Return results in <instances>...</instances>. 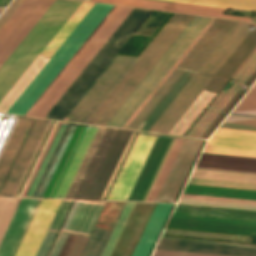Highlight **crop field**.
<instances>
[{"mask_svg": "<svg viewBox=\"0 0 256 256\" xmlns=\"http://www.w3.org/2000/svg\"><path fill=\"white\" fill-rule=\"evenodd\" d=\"M112 6L110 4H94L7 113L25 114ZM131 9L114 5L25 115L44 117ZM150 11L132 9L46 114V118L63 119Z\"/></svg>", "mask_w": 256, "mask_h": 256, "instance_id": "crop-field-1", "label": "crop field"}, {"mask_svg": "<svg viewBox=\"0 0 256 256\" xmlns=\"http://www.w3.org/2000/svg\"><path fill=\"white\" fill-rule=\"evenodd\" d=\"M138 136V135H137ZM137 138V137H136ZM157 137L139 135L107 200H126ZM172 139L158 137L127 200L141 201ZM183 141L173 139L143 200L154 201Z\"/></svg>", "mask_w": 256, "mask_h": 256, "instance_id": "crop-field-2", "label": "crop field"}, {"mask_svg": "<svg viewBox=\"0 0 256 256\" xmlns=\"http://www.w3.org/2000/svg\"><path fill=\"white\" fill-rule=\"evenodd\" d=\"M131 132L99 127L64 198L99 199Z\"/></svg>", "mask_w": 256, "mask_h": 256, "instance_id": "crop-field-3", "label": "crop field"}, {"mask_svg": "<svg viewBox=\"0 0 256 256\" xmlns=\"http://www.w3.org/2000/svg\"><path fill=\"white\" fill-rule=\"evenodd\" d=\"M193 17L175 13L86 123L105 125Z\"/></svg>", "mask_w": 256, "mask_h": 256, "instance_id": "crop-field-4", "label": "crop field"}, {"mask_svg": "<svg viewBox=\"0 0 256 256\" xmlns=\"http://www.w3.org/2000/svg\"><path fill=\"white\" fill-rule=\"evenodd\" d=\"M254 26L238 21L150 131L168 132Z\"/></svg>", "mask_w": 256, "mask_h": 256, "instance_id": "crop-field-5", "label": "crop field"}, {"mask_svg": "<svg viewBox=\"0 0 256 256\" xmlns=\"http://www.w3.org/2000/svg\"><path fill=\"white\" fill-rule=\"evenodd\" d=\"M37 199L23 198L0 244L9 256ZM42 199H38L10 256H14ZM62 200L43 199L15 256H35Z\"/></svg>", "mask_w": 256, "mask_h": 256, "instance_id": "crop-field-6", "label": "crop field"}, {"mask_svg": "<svg viewBox=\"0 0 256 256\" xmlns=\"http://www.w3.org/2000/svg\"><path fill=\"white\" fill-rule=\"evenodd\" d=\"M167 227L256 235V212L177 204Z\"/></svg>", "mask_w": 256, "mask_h": 256, "instance_id": "crop-field-7", "label": "crop field"}, {"mask_svg": "<svg viewBox=\"0 0 256 256\" xmlns=\"http://www.w3.org/2000/svg\"><path fill=\"white\" fill-rule=\"evenodd\" d=\"M211 18L195 16L127 100L107 122V126L122 128L141 103L151 93L182 53L192 43Z\"/></svg>", "mask_w": 256, "mask_h": 256, "instance_id": "crop-field-8", "label": "crop field"}, {"mask_svg": "<svg viewBox=\"0 0 256 256\" xmlns=\"http://www.w3.org/2000/svg\"><path fill=\"white\" fill-rule=\"evenodd\" d=\"M36 122L18 156V159L0 193V196H13L31 158L50 121L38 120ZM33 119L21 118L9 138V141L0 157V187L9 171V168L21 146V143L32 123Z\"/></svg>", "mask_w": 256, "mask_h": 256, "instance_id": "crop-field-9", "label": "crop field"}, {"mask_svg": "<svg viewBox=\"0 0 256 256\" xmlns=\"http://www.w3.org/2000/svg\"><path fill=\"white\" fill-rule=\"evenodd\" d=\"M105 202L76 200L62 228L90 234ZM63 229L49 256H80L89 235Z\"/></svg>", "mask_w": 256, "mask_h": 256, "instance_id": "crop-field-10", "label": "crop field"}, {"mask_svg": "<svg viewBox=\"0 0 256 256\" xmlns=\"http://www.w3.org/2000/svg\"><path fill=\"white\" fill-rule=\"evenodd\" d=\"M135 60L115 56L63 120L85 123Z\"/></svg>", "mask_w": 256, "mask_h": 256, "instance_id": "crop-field-11", "label": "crop field"}, {"mask_svg": "<svg viewBox=\"0 0 256 256\" xmlns=\"http://www.w3.org/2000/svg\"><path fill=\"white\" fill-rule=\"evenodd\" d=\"M55 0H24L0 29V66Z\"/></svg>", "mask_w": 256, "mask_h": 256, "instance_id": "crop-field-12", "label": "crop field"}, {"mask_svg": "<svg viewBox=\"0 0 256 256\" xmlns=\"http://www.w3.org/2000/svg\"><path fill=\"white\" fill-rule=\"evenodd\" d=\"M256 47L255 49L251 52V54L246 58V60L242 63V65L238 68V70L233 74L232 79L236 80L234 82V84L236 83V85L233 87V89L230 91V93L227 95L226 93L231 89V87L234 85H232L228 91L226 93H222V91L218 94V96L213 100V102L210 104V106L205 110V112L200 116V118L196 121V123L191 127V129L186 133L185 136H187L191 130L196 126V124L200 121V119L204 116V114L209 110H210L205 114V116L201 119V121L197 124V126L193 129V131L188 135V136H192L196 130L200 127V125L204 122V120L208 117V115L213 111V109L217 106V104L221 101V99L225 96V94L227 95L226 98L221 102V104L215 109V111L209 116V118L204 122V124L198 129V131L194 134L195 137L199 136V134L204 130V128L209 124V122L213 119V117L218 113V111L222 108V106L226 103V101L230 98V96L235 92H236L231 96V98L227 101V103L223 106V108L219 111V113L214 117V119L210 122V124L206 127V129L202 132V134L199 136L200 138H202L205 133L210 129V127L215 123V121L219 118V116L224 112V110L229 106V104L234 100V98L238 95V93L241 91V93L239 94V96L235 99V101L230 105V107L224 112V114L218 119V121L213 125V127L207 132V134L204 136V138H208L209 135L214 131V129L219 125V123L224 119V117L226 116V113L230 110V108L237 102V100L243 95V93L245 92V90L241 89V85L243 83H246L248 85H252L253 82L256 80V75L251 79V81L248 83V81L250 80V78L255 74L256 72V61L253 63V65L248 69V71L243 75V77L241 79H239L241 77V75L246 71V69L251 65V63L255 60L256 58ZM255 54V55H254ZM254 55V56H253ZM253 56V57H252ZM252 57V59H251ZM251 59V60H250ZM250 60V61H249ZM249 61V62H248ZM248 62V64H247ZM247 64V65H246ZM246 65V66H245ZM245 66V67H244ZM244 67V68H243ZM243 68V70H242ZM255 68V69H254ZM254 69V70H253ZM242 70V71H241ZM253 70V71H252ZM241 71V72H240ZM252 71V73H251ZM240 72V73H239ZM239 73V74H238ZM251 73V74H250ZM238 74V76H237ZM250 74V75H249ZM249 75V76H248ZM237 76V77H236ZM248 76V77H247ZM236 77V78H235ZM247 77V79H246ZM246 79V80H245ZM245 80V81H244Z\"/></svg>", "mask_w": 256, "mask_h": 256, "instance_id": "crop-field-13", "label": "crop field"}, {"mask_svg": "<svg viewBox=\"0 0 256 256\" xmlns=\"http://www.w3.org/2000/svg\"><path fill=\"white\" fill-rule=\"evenodd\" d=\"M183 193L256 200V191L187 184ZM183 194L182 197L256 204V201ZM181 198L179 203L256 210V205Z\"/></svg>", "mask_w": 256, "mask_h": 256, "instance_id": "crop-field-14", "label": "crop field"}, {"mask_svg": "<svg viewBox=\"0 0 256 256\" xmlns=\"http://www.w3.org/2000/svg\"><path fill=\"white\" fill-rule=\"evenodd\" d=\"M203 152L256 157V131L218 128Z\"/></svg>", "mask_w": 256, "mask_h": 256, "instance_id": "crop-field-15", "label": "crop field"}, {"mask_svg": "<svg viewBox=\"0 0 256 256\" xmlns=\"http://www.w3.org/2000/svg\"><path fill=\"white\" fill-rule=\"evenodd\" d=\"M203 141L186 138L155 201L173 202Z\"/></svg>", "mask_w": 256, "mask_h": 256, "instance_id": "crop-field-16", "label": "crop field"}, {"mask_svg": "<svg viewBox=\"0 0 256 256\" xmlns=\"http://www.w3.org/2000/svg\"><path fill=\"white\" fill-rule=\"evenodd\" d=\"M125 203H124V205H125ZM135 203L136 202H127L125 207L123 205L124 209L122 207L123 211L121 209L122 213L120 211L121 215L119 213L120 217L118 215L119 219L117 217V219H118V221L116 219L117 223L115 221L116 226H115V223L112 228L95 226L86 245H85V248H84L81 256H100L104 249V246H105V244L115 226V228L105 246V249L101 255V256H110Z\"/></svg>", "mask_w": 256, "mask_h": 256, "instance_id": "crop-field-17", "label": "crop field"}, {"mask_svg": "<svg viewBox=\"0 0 256 256\" xmlns=\"http://www.w3.org/2000/svg\"><path fill=\"white\" fill-rule=\"evenodd\" d=\"M156 249L182 252L226 255V256H256L255 247L175 240L161 238Z\"/></svg>", "mask_w": 256, "mask_h": 256, "instance_id": "crop-field-18", "label": "crop field"}, {"mask_svg": "<svg viewBox=\"0 0 256 256\" xmlns=\"http://www.w3.org/2000/svg\"><path fill=\"white\" fill-rule=\"evenodd\" d=\"M91 1L159 9V10H167V11H175V12H183V13H191V14H199V15H207V16H215V17H223V18H231V19H239V20H247V21L251 20V18H248V17L223 15L225 9H222V8L182 4V3L159 1V0H91Z\"/></svg>", "mask_w": 256, "mask_h": 256, "instance_id": "crop-field-19", "label": "crop field"}, {"mask_svg": "<svg viewBox=\"0 0 256 256\" xmlns=\"http://www.w3.org/2000/svg\"><path fill=\"white\" fill-rule=\"evenodd\" d=\"M195 168L256 174V158L202 153Z\"/></svg>", "mask_w": 256, "mask_h": 256, "instance_id": "crop-field-20", "label": "crop field"}, {"mask_svg": "<svg viewBox=\"0 0 256 256\" xmlns=\"http://www.w3.org/2000/svg\"><path fill=\"white\" fill-rule=\"evenodd\" d=\"M246 37L238 49L233 53L225 65L220 69L212 81L207 85L206 89L218 92L229 77L234 73L238 66L248 56L252 49L256 46V26Z\"/></svg>", "mask_w": 256, "mask_h": 256, "instance_id": "crop-field-21", "label": "crop field"}, {"mask_svg": "<svg viewBox=\"0 0 256 256\" xmlns=\"http://www.w3.org/2000/svg\"><path fill=\"white\" fill-rule=\"evenodd\" d=\"M172 205L157 204L132 256H148Z\"/></svg>", "mask_w": 256, "mask_h": 256, "instance_id": "crop-field-22", "label": "crop field"}, {"mask_svg": "<svg viewBox=\"0 0 256 256\" xmlns=\"http://www.w3.org/2000/svg\"><path fill=\"white\" fill-rule=\"evenodd\" d=\"M57 122L20 197H30L65 126Z\"/></svg>", "mask_w": 256, "mask_h": 256, "instance_id": "crop-field-23", "label": "crop field"}, {"mask_svg": "<svg viewBox=\"0 0 256 256\" xmlns=\"http://www.w3.org/2000/svg\"><path fill=\"white\" fill-rule=\"evenodd\" d=\"M86 128V125H77L42 197H53Z\"/></svg>", "mask_w": 256, "mask_h": 256, "instance_id": "crop-field-24", "label": "crop field"}, {"mask_svg": "<svg viewBox=\"0 0 256 256\" xmlns=\"http://www.w3.org/2000/svg\"><path fill=\"white\" fill-rule=\"evenodd\" d=\"M94 3L82 1L77 9L72 13L68 20L63 24L59 31L54 35L46 47L41 51L40 55L50 58L60 44L70 34L74 27L79 23L83 16L93 6Z\"/></svg>", "mask_w": 256, "mask_h": 256, "instance_id": "crop-field-25", "label": "crop field"}, {"mask_svg": "<svg viewBox=\"0 0 256 256\" xmlns=\"http://www.w3.org/2000/svg\"><path fill=\"white\" fill-rule=\"evenodd\" d=\"M77 124L68 123L32 196L41 197Z\"/></svg>", "mask_w": 256, "mask_h": 256, "instance_id": "crop-field-26", "label": "crop field"}, {"mask_svg": "<svg viewBox=\"0 0 256 256\" xmlns=\"http://www.w3.org/2000/svg\"><path fill=\"white\" fill-rule=\"evenodd\" d=\"M97 128H93V127H88L55 195L53 198H63L80 163H81V160L96 132Z\"/></svg>", "mask_w": 256, "mask_h": 256, "instance_id": "crop-field-27", "label": "crop field"}, {"mask_svg": "<svg viewBox=\"0 0 256 256\" xmlns=\"http://www.w3.org/2000/svg\"><path fill=\"white\" fill-rule=\"evenodd\" d=\"M73 200H63L50 227L58 230ZM49 229L36 256H46L58 231Z\"/></svg>", "mask_w": 256, "mask_h": 256, "instance_id": "crop-field-28", "label": "crop field"}, {"mask_svg": "<svg viewBox=\"0 0 256 256\" xmlns=\"http://www.w3.org/2000/svg\"><path fill=\"white\" fill-rule=\"evenodd\" d=\"M191 177L256 183V175L194 169Z\"/></svg>", "mask_w": 256, "mask_h": 256, "instance_id": "crop-field-29", "label": "crop field"}, {"mask_svg": "<svg viewBox=\"0 0 256 256\" xmlns=\"http://www.w3.org/2000/svg\"><path fill=\"white\" fill-rule=\"evenodd\" d=\"M182 3L214 6V7H230L256 11V0H167Z\"/></svg>", "mask_w": 256, "mask_h": 256, "instance_id": "crop-field-30", "label": "crop field"}, {"mask_svg": "<svg viewBox=\"0 0 256 256\" xmlns=\"http://www.w3.org/2000/svg\"><path fill=\"white\" fill-rule=\"evenodd\" d=\"M22 198L0 197V241Z\"/></svg>", "mask_w": 256, "mask_h": 256, "instance_id": "crop-field-31", "label": "crop field"}, {"mask_svg": "<svg viewBox=\"0 0 256 256\" xmlns=\"http://www.w3.org/2000/svg\"><path fill=\"white\" fill-rule=\"evenodd\" d=\"M231 113L256 115V83L233 109Z\"/></svg>", "mask_w": 256, "mask_h": 256, "instance_id": "crop-field-32", "label": "crop field"}, {"mask_svg": "<svg viewBox=\"0 0 256 256\" xmlns=\"http://www.w3.org/2000/svg\"><path fill=\"white\" fill-rule=\"evenodd\" d=\"M188 183L256 190V184H249V183L216 181V180L195 179V178H190Z\"/></svg>", "mask_w": 256, "mask_h": 256, "instance_id": "crop-field-33", "label": "crop field"}, {"mask_svg": "<svg viewBox=\"0 0 256 256\" xmlns=\"http://www.w3.org/2000/svg\"><path fill=\"white\" fill-rule=\"evenodd\" d=\"M224 122L256 125V118L227 116V118L224 120Z\"/></svg>", "mask_w": 256, "mask_h": 256, "instance_id": "crop-field-34", "label": "crop field"}, {"mask_svg": "<svg viewBox=\"0 0 256 256\" xmlns=\"http://www.w3.org/2000/svg\"><path fill=\"white\" fill-rule=\"evenodd\" d=\"M153 256H215V255H204V254H193V253L155 250Z\"/></svg>", "mask_w": 256, "mask_h": 256, "instance_id": "crop-field-35", "label": "crop field"}, {"mask_svg": "<svg viewBox=\"0 0 256 256\" xmlns=\"http://www.w3.org/2000/svg\"><path fill=\"white\" fill-rule=\"evenodd\" d=\"M220 127L235 128V129H246V130H256V126L228 124V123H222Z\"/></svg>", "mask_w": 256, "mask_h": 256, "instance_id": "crop-field-36", "label": "crop field"}, {"mask_svg": "<svg viewBox=\"0 0 256 256\" xmlns=\"http://www.w3.org/2000/svg\"><path fill=\"white\" fill-rule=\"evenodd\" d=\"M228 93H229V92H228ZM228 93H227V94H228ZM224 98H225V97H224ZM224 98H223V99H224ZM218 105H219V104H218ZM204 129H205V128H204ZM191 131H192V130H191ZM200 134H201V133H200ZM200 134H199V135H200Z\"/></svg>", "mask_w": 256, "mask_h": 256, "instance_id": "crop-field-37", "label": "crop field"}]
</instances>
